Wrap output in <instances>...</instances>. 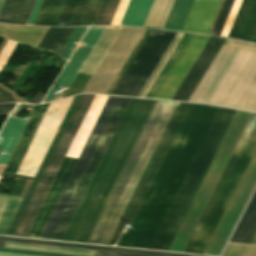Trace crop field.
Returning a JSON list of instances; mask_svg holds the SVG:
<instances>
[{"instance_id":"1","label":"crop field","mask_w":256,"mask_h":256,"mask_svg":"<svg viewBox=\"0 0 256 256\" xmlns=\"http://www.w3.org/2000/svg\"><path fill=\"white\" fill-rule=\"evenodd\" d=\"M190 104L177 103L108 242L131 224ZM219 107L191 104L152 185L117 246L149 249ZM236 111L220 108L150 249L167 251Z\"/></svg>"},{"instance_id":"2","label":"crop field","mask_w":256,"mask_h":256,"mask_svg":"<svg viewBox=\"0 0 256 256\" xmlns=\"http://www.w3.org/2000/svg\"><path fill=\"white\" fill-rule=\"evenodd\" d=\"M129 99L108 98L39 238L61 239ZM154 103L130 99L61 240L86 242Z\"/></svg>"},{"instance_id":"3","label":"crop field","mask_w":256,"mask_h":256,"mask_svg":"<svg viewBox=\"0 0 256 256\" xmlns=\"http://www.w3.org/2000/svg\"><path fill=\"white\" fill-rule=\"evenodd\" d=\"M168 34L169 32L151 30L150 34L148 35L140 50L136 54L132 63L130 64L122 79L118 83L117 87L113 91L112 95L130 96L133 89L137 85L138 81L144 74L145 70L149 66L150 62L154 58L155 54L161 47L162 43L164 42ZM176 35L177 33L170 32L162 47L160 48L155 58L151 62L150 66L146 70L145 74L143 75L138 85L134 89L131 96L138 97L141 90L145 86L146 82L152 75L153 71L157 67L158 63L162 59L163 55L169 48L170 44L172 43ZM179 35L180 33H178V35L176 36L175 40L173 41L170 48L164 55L163 59L159 63L158 67L156 68L153 75L147 82L139 97H141V95L143 94L144 90L148 86L149 82L155 75L156 71L160 67L161 63L165 59L166 55L172 48L173 44L175 43ZM183 35L184 33H181L173 48L171 49L166 59L162 63L161 67L157 71L156 75L154 76L149 86L145 90L142 97H145V95L147 94L148 90L152 86L153 82L159 75L160 71L164 67L165 63L169 59L170 55L176 48L177 44L179 43ZM208 39L209 37L207 36H199L185 33L177 48L175 49L170 59L166 63L165 67L161 71L160 75L158 76L153 86L149 90L146 97L171 100L174 93L178 89L179 85L183 81L184 77L188 73L189 69L193 65L194 61L198 57L199 53L203 49Z\"/></svg>"},{"instance_id":"4","label":"crop field","mask_w":256,"mask_h":256,"mask_svg":"<svg viewBox=\"0 0 256 256\" xmlns=\"http://www.w3.org/2000/svg\"><path fill=\"white\" fill-rule=\"evenodd\" d=\"M95 95H83L14 235L26 236ZM107 97L96 95L65 159L76 160ZM64 160L27 234L38 238L76 161Z\"/></svg>"},{"instance_id":"5","label":"crop field","mask_w":256,"mask_h":256,"mask_svg":"<svg viewBox=\"0 0 256 256\" xmlns=\"http://www.w3.org/2000/svg\"><path fill=\"white\" fill-rule=\"evenodd\" d=\"M229 45L256 51L253 44ZM190 99L256 109V53L222 46Z\"/></svg>"},{"instance_id":"6","label":"crop field","mask_w":256,"mask_h":256,"mask_svg":"<svg viewBox=\"0 0 256 256\" xmlns=\"http://www.w3.org/2000/svg\"><path fill=\"white\" fill-rule=\"evenodd\" d=\"M175 104L156 102L86 243L107 244Z\"/></svg>"},{"instance_id":"7","label":"crop field","mask_w":256,"mask_h":256,"mask_svg":"<svg viewBox=\"0 0 256 256\" xmlns=\"http://www.w3.org/2000/svg\"><path fill=\"white\" fill-rule=\"evenodd\" d=\"M256 127V114L253 113L219 183L217 184L184 252L187 253H192L214 207L216 206L237 162L239 161L254 129ZM256 149V129L240 159V161L238 162L217 206L215 207L193 253H197V254H203L237 184L239 183L254 151Z\"/></svg>"},{"instance_id":"8","label":"crop field","mask_w":256,"mask_h":256,"mask_svg":"<svg viewBox=\"0 0 256 256\" xmlns=\"http://www.w3.org/2000/svg\"><path fill=\"white\" fill-rule=\"evenodd\" d=\"M144 32L122 27L82 93L106 94Z\"/></svg>"},{"instance_id":"9","label":"crop field","mask_w":256,"mask_h":256,"mask_svg":"<svg viewBox=\"0 0 256 256\" xmlns=\"http://www.w3.org/2000/svg\"><path fill=\"white\" fill-rule=\"evenodd\" d=\"M106 26H98V27H90L87 31L86 35L80 42L79 46L73 53L72 57L68 61L67 65L61 72L60 76L54 83L53 87L47 94L43 103L53 101L57 96L56 91L59 90L60 87L68 89L71 82L77 75L79 69L85 62L86 58L96 45L97 41L103 34Z\"/></svg>"},{"instance_id":"10","label":"crop field","mask_w":256,"mask_h":256,"mask_svg":"<svg viewBox=\"0 0 256 256\" xmlns=\"http://www.w3.org/2000/svg\"><path fill=\"white\" fill-rule=\"evenodd\" d=\"M109 0H66L55 26L99 25Z\"/></svg>"},{"instance_id":"11","label":"crop field","mask_w":256,"mask_h":256,"mask_svg":"<svg viewBox=\"0 0 256 256\" xmlns=\"http://www.w3.org/2000/svg\"><path fill=\"white\" fill-rule=\"evenodd\" d=\"M193 1L194 0H175L174 2V0H154L144 25L163 27L173 2L174 5L171 9L164 28L148 26L144 27L181 31Z\"/></svg>"},{"instance_id":"12","label":"crop field","mask_w":256,"mask_h":256,"mask_svg":"<svg viewBox=\"0 0 256 256\" xmlns=\"http://www.w3.org/2000/svg\"><path fill=\"white\" fill-rule=\"evenodd\" d=\"M225 39L211 37L172 100L188 101L192 91L209 67Z\"/></svg>"},{"instance_id":"13","label":"crop field","mask_w":256,"mask_h":256,"mask_svg":"<svg viewBox=\"0 0 256 256\" xmlns=\"http://www.w3.org/2000/svg\"><path fill=\"white\" fill-rule=\"evenodd\" d=\"M86 28L87 27L75 28V30L74 28H49L38 48L59 53L66 40L74 30L59 53V56L68 59Z\"/></svg>"},{"instance_id":"14","label":"crop field","mask_w":256,"mask_h":256,"mask_svg":"<svg viewBox=\"0 0 256 256\" xmlns=\"http://www.w3.org/2000/svg\"><path fill=\"white\" fill-rule=\"evenodd\" d=\"M49 104L35 106L3 172L16 173Z\"/></svg>"},{"instance_id":"15","label":"crop field","mask_w":256,"mask_h":256,"mask_svg":"<svg viewBox=\"0 0 256 256\" xmlns=\"http://www.w3.org/2000/svg\"><path fill=\"white\" fill-rule=\"evenodd\" d=\"M221 0H195L182 31L207 34Z\"/></svg>"},{"instance_id":"16","label":"crop field","mask_w":256,"mask_h":256,"mask_svg":"<svg viewBox=\"0 0 256 256\" xmlns=\"http://www.w3.org/2000/svg\"><path fill=\"white\" fill-rule=\"evenodd\" d=\"M228 37L256 42V0H243Z\"/></svg>"},{"instance_id":"17","label":"crop field","mask_w":256,"mask_h":256,"mask_svg":"<svg viewBox=\"0 0 256 256\" xmlns=\"http://www.w3.org/2000/svg\"><path fill=\"white\" fill-rule=\"evenodd\" d=\"M0 241L69 247V248H79V249H89V250H99V251H109V252H119V253H129V254H139V255H150V256H192V255H182V254L152 252V251H143V250L93 246V245H84V244H74V243H65V242H55V241H46V240H36V239H27V238H17V237H8V236H0Z\"/></svg>"},{"instance_id":"18","label":"crop field","mask_w":256,"mask_h":256,"mask_svg":"<svg viewBox=\"0 0 256 256\" xmlns=\"http://www.w3.org/2000/svg\"><path fill=\"white\" fill-rule=\"evenodd\" d=\"M27 120L9 117L0 135V150L6 154L0 156V164L5 165Z\"/></svg>"},{"instance_id":"19","label":"crop field","mask_w":256,"mask_h":256,"mask_svg":"<svg viewBox=\"0 0 256 256\" xmlns=\"http://www.w3.org/2000/svg\"><path fill=\"white\" fill-rule=\"evenodd\" d=\"M239 223V222H238ZM256 232V192L248 205L230 242L250 244Z\"/></svg>"},{"instance_id":"20","label":"crop field","mask_w":256,"mask_h":256,"mask_svg":"<svg viewBox=\"0 0 256 256\" xmlns=\"http://www.w3.org/2000/svg\"><path fill=\"white\" fill-rule=\"evenodd\" d=\"M25 196L0 193V233L6 234Z\"/></svg>"},{"instance_id":"21","label":"crop field","mask_w":256,"mask_h":256,"mask_svg":"<svg viewBox=\"0 0 256 256\" xmlns=\"http://www.w3.org/2000/svg\"><path fill=\"white\" fill-rule=\"evenodd\" d=\"M119 30L106 29L99 42L91 52L80 72L92 75L105 52L111 45Z\"/></svg>"},{"instance_id":"22","label":"crop field","mask_w":256,"mask_h":256,"mask_svg":"<svg viewBox=\"0 0 256 256\" xmlns=\"http://www.w3.org/2000/svg\"><path fill=\"white\" fill-rule=\"evenodd\" d=\"M153 0H130L120 25L142 27Z\"/></svg>"},{"instance_id":"23","label":"crop field","mask_w":256,"mask_h":256,"mask_svg":"<svg viewBox=\"0 0 256 256\" xmlns=\"http://www.w3.org/2000/svg\"><path fill=\"white\" fill-rule=\"evenodd\" d=\"M0 242V246H1ZM1 247L82 255L84 250L3 242ZM87 256H136L85 250Z\"/></svg>"},{"instance_id":"24","label":"crop field","mask_w":256,"mask_h":256,"mask_svg":"<svg viewBox=\"0 0 256 256\" xmlns=\"http://www.w3.org/2000/svg\"><path fill=\"white\" fill-rule=\"evenodd\" d=\"M233 1L234 0H225V3L223 5V8L221 10V13L218 17V20L216 22V25H215L211 35H215V36L220 35L221 30H222V28L224 26V23L226 21V18H227L228 14H229V11L231 9V6L233 4ZM241 2H242V0H235L234 1V4L232 6V9L230 11V14L227 18V21L225 23V26H224L220 36H224V37L228 36L229 31H230V29L232 27V24L234 22V19H235L236 15H237V12L239 10V7L241 5Z\"/></svg>"},{"instance_id":"25","label":"crop field","mask_w":256,"mask_h":256,"mask_svg":"<svg viewBox=\"0 0 256 256\" xmlns=\"http://www.w3.org/2000/svg\"><path fill=\"white\" fill-rule=\"evenodd\" d=\"M24 0H6L0 14V22L14 24ZM35 0H29L19 24H25Z\"/></svg>"},{"instance_id":"26","label":"crop field","mask_w":256,"mask_h":256,"mask_svg":"<svg viewBox=\"0 0 256 256\" xmlns=\"http://www.w3.org/2000/svg\"><path fill=\"white\" fill-rule=\"evenodd\" d=\"M65 0H43L33 25L54 26Z\"/></svg>"},{"instance_id":"27","label":"crop field","mask_w":256,"mask_h":256,"mask_svg":"<svg viewBox=\"0 0 256 256\" xmlns=\"http://www.w3.org/2000/svg\"><path fill=\"white\" fill-rule=\"evenodd\" d=\"M45 169L46 168H43V167L39 168V170H38V172H37V174H36V176L33 180V183H32V185H31V187H30V189H29V191H28V193H27V195H26V197H25V199H24V201H23V203H22V205H21V207H20V209H19V211H18V213H17V215H16V217H15V219H14V221H13V223H12V225H11L7 234H10V235L14 234V232H15V230H16V228H17V226H18V224H19V222H20L28 204H29V201H30V199H31V197H32V195H33V193H34V191H35V189H36L44 171H45Z\"/></svg>"},{"instance_id":"28","label":"crop field","mask_w":256,"mask_h":256,"mask_svg":"<svg viewBox=\"0 0 256 256\" xmlns=\"http://www.w3.org/2000/svg\"><path fill=\"white\" fill-rule=\"evenodd\" d=\"M255 246L228 244L223 256H249ZM256 256V248L250 254Z\"/></svg>"},{"instance_id":"29","label":"crop field","mask_w":256,"mask_h":256,"mask_svg":"<svg viewBox=\"0 0 256 256\" xmlns=\"http://www.w3.org/2000/svg\"><path fill=\"white\" fill-rule=\"evenodd\" d=\"M16 42L8 40L7 44L5 45L3 51L0 54V72L2 71L9 55L11 54L13 48L15 47Z\"/></svg>"},{"instance_id":"30","label":"crop field","mask_w":256,"mask_h":256,"mask_svg":"<svg viewBox=\"0 0 256 256\" xmlns=\"http://www.w3.org/2000/svg\"><path fill=\"white\" fill-rule=\"evenodd\" d=\"M128 2H129V0H120V3L118 5V8L115 12V15H114L113 20L110 25H119Z\"/></svg>"},{"instance_id":"31","label":"crop field","mask_w":256,"mask_h":256,"mask_svg":"<svg viewBox=\"0 0 256 256\" xmlns=\"http://www.w3.org/2000/svg\"><path fill=\"white\" fill-rule=\"evenodd\" d=\"M119 0H111L109 5H108V8L106 10V13L103 17V20L101 22L100 25H103V24H108L110 23L111 19H112V16L114 14V11L117 7V4H118Z\"/></svg>"},{"instance_id":"32","label":"crop field","mask_w":256,"mask_h":256,"mask_svg":"<svg viewBox=\"0 0 256 256\" xmlns=\"http://www.w3.org/2000/svg\"><path fill=\"white\" fill-rule=\"evenodd\" d=\"M41 3H42V0H36V3L34 5V8L32 10V13H31V15L29 17V20H28L27 24H29V25L33 24L34 19H35L36 15H37V12L39 10V7H40Z\"/></svg>"},{"instance_id":"33","label":"crop field","mask_w":256,"mask_h":256,"mask_svg":"<svg viewBox=\"0 0 256 256\" xmlns=\"http://www.w3.org/2000/svg\"><path fill=\"white\" fill-rule=\"evenodd\" d=\"M5 102H14V99L12 98V95L9 93H5L0 89V103Z\"/></svg>"},{"instance_id":"34","label":"crop field","mask_w":256,"mask_h":256,"mask_svg":"<svg viewBox=\"0 0 256 256\" xmlns=\"http://www.w3.org/2000/svg\"><path fill=\"white\" fill-rule=\"evenodd\" d=\"M15 104H0V114L10 113Z\"/></svg>"},{"instance_id":"35","label":"crop field","mask_w":256,"mask_h":256,"mask_svg":"<svg viewBox=\"0 0 256 256\" xmlns=\"http://www.w3.org/2000/svg\"><path fill=\"white\" fill-rule=\"evenodd\" d=\"M44 94L38 93L29 103H41L44 98Z\"/></svg>"},{"instance_id":"36","label":"crop field","mask_w":256,"mask_h":256,"mask_svg":"<svg viewBox=\"0 0 256 256\" xmlns=\"http://www.w3.org/2000/svg\"><path fill=\"white\" fill-rule=\"evenodd\" d=\"M0 256H31V255H21V254H11V253L0 252Z\"/></svg>"},{"instance_id":"37","label":"crop field","mask_w":256,"mask_h":256,"mask_svg":"<svg viewBox=\"0 0 256 256\" xmlns=\"http://www.w3.org/2000/svg\"><path fill=\"white\" fill-rule=\"evenodd\" d=\"M4 2H5V0H0V11H1L2 7H3Z\"/></svg>"}]
</instances>
